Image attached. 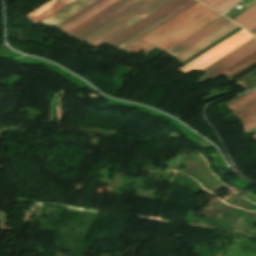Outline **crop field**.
Returning a JSON list of instances; mask_svg holds the SVG:
<instances>
[{
	"instance_id": "e52e79f7",
	"label": "crop field",
	"mask_w": 256,
	"mask_h": 256,
	"mask_svg": "<svg viewBox=\"0 0 256 256\" xmlns=\"http://www.w3.org/2000/svg\"><path fill=\"white\" fill-rule=\"evenodd\" d=\"M228 22H230V21H228L222 17L166 52H168L169 54H171L172 56L175 57L178 54H180L182 51H184L185 49H187L188 47H190L191 45L196 43L197 41L206 37L207 35L214 32L215 30L222 27L223 25H225Z\"/></svg>"
},
{
	"instance_id": "ac0d7876",
	"label": "crop field",
	"mask_w": 256,
	"mask_h": 256,
	"mask_svg": "<svg viewBox=\"0 0 256 256\" xmlns=\"http://www.w3.org/2000/svg\"><path fill=\"white\" fill-rule=\"evenodd\" d=\"M252 38L254 37L242 30L237 34L233 35L232 37L228 38L227 40L223 41L222 43L218 44L217 46L213 47L209 51L205 52L204 54L200 55L196 59L192 60L188 64L180 67L176 71L184 75L193 69L201 71L209 64L213 63L223 55L227 54L231 50L235 49L236 47L242 45L243 43L247 42Z\"/></svg>"
},
{
	"instance_id": "412701ff",
	"label": "crop field",
	"mask_w": 256,
	"mask_h": 256,
	"mask_svg": "<svg viewBox=\"0 0 256 256\" xmlns=\"http://www.w3.org/2000/svg\"><path fill=\"white\" fill-rule=\"evenodd\" d=\"M197 1L195 0H187L186 2L182 3L181 5L177 6L176 8L172 9L171 11L167 12L166 14L162 15L158 19L154 20L153 22L149 23L148 25L144 26L143 28L139 29L114 47L122 49L134 40L138 39L148 31L152 30L153 28L157 27L158 25L164 23L165 21L169 20L170 18L174 17L178 13L182 12L186 8L190 7Z\"/></svg>"
},
{
	"instance_id": "00972430",
	"label": "crop field",
	"mask_w": 256,
	"mask_h": 256,
	"mask_svg": "<svg viewBox=\"0 0 256 256\" xmlns=\"http://www.w3.org/2000/svg\"><path fill=\"white\" fill-rule=\"evenodd\" d=\"M255 99H256V98L252 99L251 101L247 102L246 104L252 102V101L255 100ZM246 104L242 105L241 107L245 106ZM241 107H239L238 109H240ZM238 109H236V110H238ZM236 110H235V111H236ZM233 112H234V111H233Z\"/></svg>"
},
{
	"instance_id": "4177f3b9",
	"label": "crop field",
	"mask_w": 256,
	"mask_h": 256,
	"mask_svg": "<svg viewBox=\"0 0 256 256\" xmlns=\"http://www.w3.org/2000/svg\"><path fill=\"white\" fill-rule=\"evenodd\" d=\"M255 30H256V28L254 30H252L251 33L254 32Z\"/></svg>"
},
{
	"instance_id": "dd49c442",
	"label": "crop field",
	"mask_w": 256,
	"mask_h": 256,
	"mask_svg": "<svg viewBox=\"0 0 256 256\" xmlns=\"http://www.w3.org/2000/svg\"><path fill=\"white\" fill-rule=\"evenodd\" d=\"M169 1H171V0H158V1H156L155 3H153L152 5L147 7L146 9L142 10L141 12H139L138 14H136L135 16L130 18L129 20L125 21L124 23H122L118 27L112 29L111 31H109L108 33L103 35L102 37L98 38L97 40L92 42L90 45H92L96 48L99 47L101 44H103L108 39H110L113 36H115L116 34L120 33L121 31H123L124 29H126L130 25L134 24L138 20H140V19L148 16L149 14L153 13L155 10H157L161 6L165 5Z\"/></svg>"
},
{
	"instance_id": "733c2abd",
	"label": "crop field",
	"mask_w": 256,
	"mask_h": 256,
	"mask_svg": "<svg viewBox=\"0 0 256 256\" xmlns=\"http://www.w3.org/2000/svg\"><path fill=\"white\" fill-rule=\"evenodd\" d=\"M237 82L240 83L247 91L256 87V71Z\"/></svg>"
},
{
	"instance_id": "a9b5d70f",
	"label": "crop field",
	"mask_w": 256,
	"mask_h": 256,
	"mask_svg": "<svg viewBox=\"0 0 256 256\" xmlns=\"http://www.w3.org/2000/svg\"><path fill=\"white\" fill-rule=\"evenodd\" d=\"M252 34H254L256 36V31L254 33H252Z\"/></svg>"
},
{
	"instance_id": "cbeb9de0",
	"label": "crop field",
	"mask_w": 256,
	"mask_h": 256,
	"mask_svg": "<svg viewBox=\"0 0 256 256\" xmlns=\"http://www.w3.org/2000/svg\"><path fill=\"white\" fill-rule=\"evenodd\" d=\"M127 0H117L115 2H113L112 4H110L109 6H107L106 8H104L103 10H101L100 12H98L97 14H95L94 16H92L91 18H89L88 20H86L85 22H83L82 24H80L79 26H77L76 28H74L73 30H71L70 32L66 33L68 35H70L71 37L76 34L79 30H81L82 28L86 27L87 25H89L90 23L94 22L95 20H97L98 18L102 17L103 15H105L106 13L110 12L111 10H113L114 8L118 7L119 5H121L122 3H124ZM83 30V29H82ZM80 32V31H79Z\"/></svg>"
},
{
	"instance_id": "d9b57169",
	"label": "crop field",
	"mask_w": 256,
	"mask_h": 256,
	"mask_svg": "<svg viewBox=\"0 0 256 256\" xmlns=\"http://www.w3.org/2000/svg\"><path fill=\"white\" fill-rule=\"evenodd\" d=\"M199 1V0H198ZM204 4L212 7L216 11L222 13L232 7L234 4L240 0H200Z\"/></svg>"
},
{
	"instance_id": "214f88e0",
	"label": "crop field",
	"mask_w": 256,
	"mask_h": 256,
	"mask_svg": "<svg viewBox=\"0 0 256 256\" xmlns=\"http://www.w3.org/2000/svg\"><path fill=\"white\" fill-rule=\"evenodd\" d=\"M102 0H96L95 2H93L92 4H90L89 6L85 7L84 9H82L81 11H79L78 13H76L75 15H73L72 17H70L69 19L65 20L64 22H62L61 24H59L57 27H62L65 24H67L68 22L72 21L73 19H75L76 17L80 16L81 14H83L84 12H86L87 10L91 9L92 7H94L95 5H97L99 2H101Z\"/></svg>"
},
{
	"instance_id": "4a817a6b",
	"label": "crop field",
	"mask_w": 256,
	"mask_h": 256,
	"mask_svg": "<svg viewBox=\"0 0 256 256\" xmlns=\"http://www.w3.org/2000/svg\"><path fill=\"white\" fill-rule=\"evenodd\" d=\"M256 97V90L250 92L249 94L245 95L244 97L238 99L237 101L233 102L232 104L228 105L226 108L230 110H234L241 106L242 104L246 103L247 101L251 100L252 98Z\"/></svg>"
},
{
	"instance_id": "5142ce71",
	"label": "crop field",
	"mask_w": 256,
	"mask_h": 256,
	"mask_svg": "<svg viewBox=\"0 0 256 256\" xmlns=\"http://www.w3.org/2000/svg\"><path fill=\"white\" fill-rule=\"evenodd\" d=\"M254 62H256V52H254L253 54L249 55L248 57H246L245 59H243L242 61H240L236 65L232 66L231 68L227 69L226 71L222 72L221 74H227L228 77H229V76H231V75H233V74L243 70L244 68H246L249 65L253 64ZM221 74H219V75H221Z\"/></svg>"
},
{
	"instance_id": "92a150f3",
	"label": "crop field",
	"mask_w": 256,
	"mask_h": 256,
	"mask_svg": "<svg viewBox=\"0 0 256 256\" xmlns=\"http://www.w3.org/2000/svg\"><path fill=\"white\" fill-rule=\"evenodd\" d=\"M255 119H256V112L251 114L250 116L242 119V121H243L244 124H246V123L251 122V121H253Z\"/></svg>"
},
{
	"instance_id": "22f410ed",
	"label": "crop field",
	"mask_w": 256,
	"mask_h": 256,
	"mask_svg": "<svg viewBox=\"0 0 256 256\" xmlns=\"http://www.w3.org/2000/svg\"><path fill=\"white\" fill-rule=\"evenodd\" d=\"M237 24L251 31L256 27V4L234 20Z\"/></svg>"
},
{
	"instance_id": "3316defc",
	"label": "crop field",
	"mask_w": 256,
	"mask_h": 256,
	"mask_svg": "<svg viewBox=\"0 0 256 256\" xmlns=\"http://www.w3.org/2000/svg\"><path fill=\"white\" fill-rule=\"evenodd\" d=\"M155 1L156 0H145V1H143L142 3H140L136 7L132 8L131 10H129L128 12L123 14L122 16L118 17L117 19H115L114 21L109 23L108 25L104 26L103 28H101L97 32H95V33L91 34L90 36H88L87 38H85L82 42L85 41L88 44L91 43L96 38L100 37L104 33H106L109 30H111L112 28L118 26L119 24H121L122 22H124L125 20H127L128 18H130L134 14L138 13L139 11H141L142 9H144L147 6H149L150 4H152Z\"/></svg>"
},
{
	"instance_id": "bc2a9ffb",
	"label": "crop field",
	"mask_w": 256,
	"mask_h": 256,
	"mask_svg": "<svg viewBox=\"0 0 256 256\" xmlns=\"http://www.w3.org/2000/svg\"><path fill=\"white\" fill-rule=\"evenodd\" d=\"M255 111H256V100L234 114L242 119Z\"/></svg>"
},
{
	"instance_id": "730fd06b",
	"label": "crop field",
	"mask_w": 256,
	"mask_h": 256,
	"mask_svg": "<svg viewBox=\"0 0 256 256\" xmlns=\"http://www.w3.org/2000/svg\"><path fill=\"white\" fill-rule=\"evenodd\" d=\"M253 137H254V139H256V135H254Z\"/></svg>"
},
{
	"instance_id": "28ad6ade",
	"label": "crop field",
	"mask_w": 256,
	"mask_h": 256,
	"mask_svg": "<svg viewBox=\"0 0 256 256\" xmlns=\"http://www.w3.org/2000/svg\"><path fill=\"white\" fill-rule=\"evenodd\" d=\"M75 0H52L49 3L41 6L40 8L34 10L33 12L29 13L28 16L32 19L35 23L41 22L50 14L58 11L59 9L71 4ZM51 16V15H50Z\"/></svg>"
},
{
	"instance_id": "d1516ede",
	"label": "crop field",
	"mask_w": 256,
	"mask_h": 256,
	"mask_svg": "<svg viewBox=\"0 0 256 256\" xmlns=\"http://www.w3.org/2000/svg\"><path fill=\"white\" fill-rule=\"evenodd\" d=\"M113 1H115V0H104V1H102L97 6H95L94 8H92L88 12L84 13L83 15H81L80 17H78L77 19L73 20L72 22H70L69 24H67L66 26L62 27L59 30H61V31L65 32V33L68 32L69 30L73 29L74 27H76L77 25H79L80 23H82L83 21L88 19L90 16H92L93 14H95L96 12H98L99 10L104 8L105 6H107L110 3H112Z\"/></svg>"
},
{
	"instance_id": "5a996713",
	"label": "crop field",
	"mask_w": 256,
	"mask_h": 256,
	"mask_svg": "<svg viewBox=\"0 0 256 256\" xmlns=\"http://www.w3.org/2000/svg\"><path fill=\"white\" fill-rule=\"evenodd\" d=\"M236 27H238V26L234 25L231 22L226 24L225 26L218 29L217 31L210 34L209 36L202 39L201 41L197 42L196 44H194L193 46H191L190 48H188L187 50H185L183 53H181L180 55H178L175 58H177L181 62L185 61L186 59H188L189 57H191L192 55H194L195 53H197L198 51H200L201 49H203L210 43L216 41L217 39L221 38L228 32L232 31Z\"/></svg>"
},
{
	"instance_id": "34b2d1b8",
	"label": "crop field",
	"mask_w": 256,
	"mask_h": 256,
	"mask_svg": "<svg viewBox=\"0 0 256 256\" xmlns=\"http://www.w3.org/2000/svg\"><path fill=\"white\" fill-rule=\"evenodd\" d=\"M254 51H256L255 38L243 44L242 46L236 48L232 52L228 53L224 57L220 58L213 64L203 69L207 73L196 80L203 84L204 82L208 81L211 77L236 64L237 62H239L249 54L253 53Z\"/></svg>"
},
{
	"instance_id": "f4fd0767",
	"label": "crop field",
	"mask_w": 256,
	"mask_h": 256,
	"mask_svg": "<svg viewBox=\"0 0 256 256\" xmlns=\"http://www.w3.org/2000/svg\"><path fill=\"white\" fill-rule=\"evenodd\" d=\"M142 1L143 0H129V1H127L126 3L122 4L118 8L114 9L110 13L106 14L102 18L95 21L94 23L90 24L89 26H87L86 28H84L83 30L78 32L76 35H74L73 37L76 38L79 41L82 40L87 35H89V34L93 33L94 31L98 30L102 26L106 25L110 21H112L115 18H117L118 16L122 15L123 13H125L126 11H128L129 9L136 6L137 4H139Z\"/></svg>"
},
{
	"instance_id": "8a807250",
	"label": "crop field",
	"mask_w": 256,
	"mask_h": 256,
	"mask_svg": "<svg viewBox=\"0 0 256 256\" xmlns=\"http://www.w3.org/2000/svg\"><path fill=\"white\" fill-rule=\"evenodd\" d=\"M220 17L222 16L198 2L123 50L138 53L152 44L166 51Z\"/></svg>"
},
{
	"instance_id": "d8731c3e",
	"label": "crop field",
	"mask_w": 256,
	"mask_h": 256,
	"mask_svg": "<svg viewBox=\"0 0 256 256\" xmlns=\"http://www.w3.org/2000/svg\"><path fill=\"white\" fill-rule=\"evenodd\" d=\"M184 1H186V0H173V1L169 2L165 6L158 9L153 14H151V15L149 14L150 16L138 21L137 23H135L131 27L127 28L126 30H124L123 32H121L120 34H118L117 36H115L114 38L109 40L108 42L115 45L116 43H118L119 41H121L125 37L129 36L130 34L135 32L136 30H138L142 26L148 24L149 22L153 21L154 19L158 18L162 14L166 13L167 11L171 10L172 8L176 7L177 5L181 4Z\"/></svg>"
},
{
	"instance_id": "dafd665d",
	"label": "crop field",
	"mask_w": 256,
	"mask_h": 256,
	"mask_svg": "<svg viewBox=\"0 0 256 256\" xmlns=\"http://www.w3.org/2000/svg\"><path fill=\"white\" fill-rule=\"evenodd\" d=\"M253 128H256V120L251 122V123H248L246 125H244V131H248L250 129H253Z\"/></svg>"
}]
</instances>
